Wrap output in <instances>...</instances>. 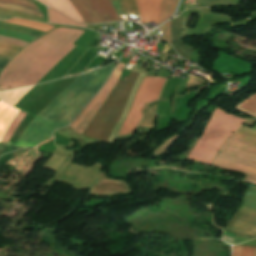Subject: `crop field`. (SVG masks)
<instances>
[{
	"label": "crop field",
	"instance_id": "obj_35",
	"mask_svg": "<svg viewBox=\"0 0 256 256\" xmlns=\"http://www.w3.org/2000/svg\"><path fill=\"white\" fill-rule=\"evenodd\" d=\"M198 139H199V138H196V139L188 146V148H189V149L192 148V147L195 145V143L198 141Z\"/></svg>",
	"mask_w": 256,
	"mask_h": 256
},
{
	"label": "crop field",
	"instance_id": "obj_27",
	"mask_svg": "<svg viewBox=\"0 0 256 256\" xmlns=\"http://www.w3.org/2000/svg\"><path fill=\"white\" fill-rule=\"evenodd\" d=\"M0 35H5V36L13 37V38H18V39H22V40H25V41H28V42H32L33 40L36 39V37H33V36L13 32V31L5 30V29H0Z\"/></svg>",
	"mask_w": 256,
	"mask_h": 256
},
{
	"label": "crop field",
	"instance_id": "obj_1",
	"mask_svg": "<svg viewBox=\"0 0 256 256\" xmlns=\"http://www.w3.org/2000/svg\"><path fill=\"white\" fill-rule=\"evenodd\" d=\"M81 30L56 28L27 46L0 75V88L11 89L35 84L63 56L75 47L72 43Z\"/></svg>",
	"mask_w": 256,
	"mask_h": 256
},
{
	"label": "crop field",
	"instance_id": "obj_6",
	"mask_svg": "<svg viewBox=\"0 0 256 256\" xmlns=\"http://www.w3.org/2000/svg\"><path fill=\"white\" fill-rule=\"evenodd\" d=\"M165 80L160 77H145L142 85L140 84L141 86L136 94L132 108L117 136L134 132L142 115V107L158 99L159 92Z\"/></svg>",
	"mask_w": 256,
	"mask_h": 256
},
{
	"label": "crop field",
	"instance_id": "obj_34",
	"mask_svg": "<svg viewBox=\"0 0 256 256\" xmlns=\"http://www.w3.org/2000/svg\"><path fill=\"white\" fill-rule=\"evenodd\" d=\"M55 145H51L49 144L46 149L44 150L45 153H49V154H52L53 150L55 149Z\"/></svg>",
	"mask_w": 256,
	"mask_h": 256
},
{
	"label": "crop field",
	"instance_id": "obj_25",
	"mask_svg": "<svg viewBox=\"0 0 256 256\" xmlns=\"http://www.w3.org/2000/svg\"><path fill=\"white\" fill-rule=\"evenodd\" d=\"M0 14H5V15H10V16H15V17H20V18H25V19H29V20H34V21L46 23L44 18L29 15V14L9 11V10H5V9H0Z\"/></svg>",
	"mask_w": 256,
	"mask_h": 256
},
{
	"label": "crop field",
	"instance_id": "obj_21",
	"mask_svg": "<svg viewBox=\"0 0 256 256\" xmlns=\"http://www.w3.org/2000/svg\"><path fill=\"white\" fill-rule=\"evenodd\" d=\"M25 113L23 112H19L17 114V116L14 118V120L12 121L10 127L8 128V130L6 131L5 135L3 136L1 142L7 143L9 138L11 137V135L13 134V132L15 131L17 125L21 122V120L25 117Z\"/></svg>",
	"mask_w": 256,
	"mask_h": 256
},
{
	"label": "crop field",
	"instance_id": "obj_19",
	"mask_svg": "<svg viewBox=\"0 0 256 256\" xmlns=\"http://www.w3.org/2000/svg\"><path fill=\"white\" fill-rule=\"evenodd\" d=\"M178 0H163L160 23L174 12Z\"/></svg>",
	"mask_w": 256,
	"mask_h": 256
},
{
	"label": "crop field",
	"instance_id": "obj_3",
	"mask_svg": "<svg viewBox=\"0 0 256 256\" xmlns=\"http://www.w3.org/2000/svg\"><path fill=\"white\" fill-rule=\"evenodd\" d=\"M244 121L245 119L227 114L216 108L205 128L204 134L192 148L189 156L211 162L222 142L233 131L239 129Z\"/></svg>",
	"mask_w": 256,
	"mask_h": 256
},
{
	"label": "crop field",
	"instance_id": "obj_22",
	"mask_svg": "<svg viewBox=\"0 0 256 256\" xmlns=\"http://www.w3.org/2000/svg\"><path fill=\"white\" fill-rule=\"evenodd\" d=\"M0 8L17 10V11H21V12H25V13H29V14H33V15H37V16H42L43 17V15L41 14L40 10H36V9L24 7V6H18V5H14V4H8V3H1L0 2Z\"/></svg>",
	"mask_w": 256,
	"mask_h": 256
},
{
	"label": "crop field",
	"instance_id": "obj_33",
	"mask_svg": "<svg viewBox=\"0 0 256 256\" xmlns=\"http://www.w3.org/2000/svg\"><path fill=\"white\" fill-rule=\"evenodd\" d=\"M9 58L1 57L0 56V68L3 69L4 66L9 62Z\"/></svg>",
	"mask_w": 256,
	"mask_h": 256
},
{
	"label": "crop field",
	"instance_id": "obj_38",
	"mask_svg": "<svg viewBox=\"0 0 256 256\" xmlns=\"http://www.w3.org/2000/svg\"><path fill=\"white\" fill-rule=\"evenodd\" d=\"M0 144H3V143H0ZM3 145H6V144H3Z\"/></svg>",
	"mask_w": 256,
	"mask_h": 256
},
{
	"label": "crop field",
	"instance_id": "obj_12",
	"mask_svg": "<svg viewBox=\"0 0 256 256\" xmlns=\"http://www.w3.org/2000/svg\"><path fill=\"white\" fill-rule=\"evenodd\" d=\"M142 23L155 21L159 24L161 0H135Z\"/></svg>",
	"mask_w": 256,
	"mask_h": 256
},
{
	"label": "crop field",
	"instance_id": "obj_16",
	"mask_svg": "<svg viewBox=\"0 0 256 256\" xmlns=\"http://www.w3.org/2000/svg\"><path fill=\"white\" fill-rule=\"evenodd\" d=\"M246 100L256 103V93L246 98ZM246 100L233 107L256 117V105Z\"/></svg>",
	"mask_w": 256,
	"mask_h": 256
},
{
	"label": "crop field",
	"instance_id": "obj_24",
	"mask_svg": "<svg viewBox=\"0 0 256 256\" xmlns=\"http://www.w3.org/2000/svg\"><path fill=\"white\" fill-rule=\"evenodd\" d=\"M20 49H21V47L0 42V55L1 56H6V57L12 58Z\"/></svg>",
	"mask_w": 256,
	"mask_h": 256
},
{
	"label": "crop field",
	"instance_id": "obj_2",
	"mask_svg": "<svg viewBox=\"0 0 256 256\" xmlns=\"http://www.w3.org/2000/svg\"><path fill=\"white\" fill-rule=\"evenodd\" d=\"M211 166L248 174L256 180V125H244L223 144Z\"/></svg>",
	"mask_w": 256,
	"mask_h": 256
},
{
	"label": "crop field",
	"instance_id": "obj_10",
	"mask_svg": "<svg viewBox=\"0 0 256 256\" xmlns=\"http://www.w3.org/2000/svg\"><path fill=\"white\" fill-rule=\"evenodd\" d=\"M99 42L100 39L95 37L84 49L76 46L71 52L62 58L37 84L62 78L69 70V68L75 64L77 59L81 57L87 48L91 46H97Z\"/></svg>",
	"mask_w": 256,
	"mask_h": 256
},
{
	"label": "crop field",
	"instance_id": "obj_36",
	"mask_svg": "<svg viewBox=\"0 0 256 256\" xmlns=\"http://www.w3.org/2000/svg\"><path fill=\"white\" fill-rule=\"evenodd\" d=\"M224 235H227V236H230V237H235V234H232V233H229V232H226V231H224V233H223Z\"/></svg>",
	"mask_w": 256,
	"mask_h": 256
},
{
	"label": "crop field",
	"instance_id": "obj_15",
	"mask_svg": "<svg viewBox=\"0 0 256 256\" xmlns=\"http://www.w3.org/2000/svg\"><path fill=\"white\" fill-rule=\"evenodd\" d=\"M96 48L89 49L80 59L79 61L74 65V67L69 71L67 75L75 74L79 71V69L85 64V62L89 59V57L92 55V53L95 51ZM98 49L93 53V55L90 57V59L86 62V64L80 69L79 72L83 71L84 68L87 66V64L91 61V59L94 57V55L97 53ZM66 75V76H67Z\"/></svg>",
	"mask_w": 256,
	"mask_h": 256
},
{
	"label": "crop field",
	"instance_id": "obj_4",
	"mask_svg": "<svg viewBox=\"0 0 256 256\" xmlns=\"http://www.w3.org/2000/svg\"><path fill=\"white\" fill-rule=\"evenodd\" d=\"M139 73L132 72L127 83L119 82L82 138L86 145L105 141Z\"/></svg>",
	"mask_w": 256,
	"mask_h": 256
},
{
	"label": "crop field",
	"instance_id": "obj_17",
	"mask_svg": "<svg viewBox=\"0 0 256 256\" xmlns=\"http://www.w3.org/2000/svg\"><path fill=\"white\" fill-rule=\"evenodd\" d=\"M5 22L35 28V29H38V30H41V31H44V32L54 28V26L44 25V24H40V23H36V22H31V21L19 19V18H13V19H10V20H5Z\"/></svg>",
	"mask_w": 256,
	"mask_h": 256
},
{
	"label": "crop field",
	"instance_id": "obj_31",
	"mask_svg": "<svg viewBox=\"0 0 256 256\" xmlns=\"http://www.w3.org/2000/svg\"><path fill=\"white\" fill-rule=\"evenodd\" d=\"M0 41L15 44V45H18V46H21V47H23L27 44L26 42H24L22 40L13 39V38L5 37V36H0Z\"/></svg>",
	"mask_w": 256,
	"mask_h": 256
},
{
	"label": "crop field",
	"instance_id": "obj_8",
	"mask_svg": "<svg viewBox=\"0 0 256 256\" xmlns=\"http://www.w3.org/2000/svg\"><path fill=\"white\" fill-rule=\"evenodd\" d=\"M125 64L119 62L117 67L114 69L108 81L105 83L100 92L95 96V98L88 104V106L81 112V114L69 125L73 130H75L80 136L86 130L91 120L100 109L105 99L109 95L110 91L117 83Z\"/></svg>",
	"mask_w": 256,
	"mask_h": 256
},
{
	"label": "crop field",
	"instance_id": "obj_30",
	"mask_svg": "<svg viewBox=\"0 0 256 256\" xmlns=\"http://www.w3.org/2000/svg\"><path fill=\"white\" fill-rule=\"evenodd\" d=\"M169 27H170V21H168L166 24L160 27V31H161L162 39L171 44L170 36H169Z\"/></svg>",
	"mask_w": 256,
	"mask_h": 256
},
{
	"label": "crop field",
	"instance_id": "obj_11",
	"mask_svg": "<svg viewBox=\"0 0 256 256\" xmlns=\"http://www.w3.org/2000/svg\"><path fill=\"white\" fill-rule=\"evenodd\" d=\"M183 19H184V17L177 18L171 22L172 42H173V46L176 49V51L182 57L190 60L194 47L182 42Z\"/></svg>",
	"mask_w": 256,
	"mask_h": 256
},
{
	"label": "crop field",
	"instance_id": "obj_29",
	"mask_svg": "<svg viewBox=\"0 0 256 256\" xmlns=\"http://www.w3.org/2000/svg\"><path fill=\"white\" fill-rule=\"evenodd\" d=\"M80 3L83 5V7L86 9V11L88 12V14L91 16L93 23H100L101 20L99 19V17L97 16V14L94 12V10L91 8V6L88 4V2L86 0H79Z\"/></svg>",
	"mask_w": 256,
	"mask_h": 256
},
{
	"label": "crop field",
	"instance_id": "obj_32",
	"mask_svg": "<svg viewBox=\"0 0 256 256\" xmlns=\"http://www.w3.org/2000/svg\"><path fill=\"white\" fill-rule=\"evenodd\" d=\"M0 1L17 3V4H21L24 6H29V7L38 9V7L34 3H32L31 1H28V0H0Z\"/></svg>",
	"mask_w": 256,
	"mask_h": 256
},
{
	"label": "crop field",
	"instance_id": "obj_26",
	"mask_svg": "<svg viewBox=\"0 0 256 256\" xmlns=\"http://www.w3.org/2000/svg\"><path fill=\"white\" fill-rule=\"evenodd\" d=\"M241 248H242L241 245H236V246H234L232 256H240V254H241ZM254 249H255V247H252V246H244V245H243L241 256H253V255H254ZM254 256H256V249H255V255H254Z\"/></svg>",
	"mask_w": 256,
	"mask_h": 256
},
{
	"label": "crop field",
	"instance_id": "obj_23",
	"mask_svg": "<svg viewBox=\"0 0 256 256\" xmlns=\"http://www.w3.org/2000/svg\"><path fill=\"white\" fill-rule=\"evenodd\" d=\"M118 2L126 17H128L129 13L138 14L134 0H118Z\"/></svg>",
	"mask_w": 256,
	"mask_h": 256
},
{
	"label": "crop field",
	"instance_id": "obj_37",
	"mask_svg": "<svg viewBox=\"0 0 256 256\" xmlns=\"http://www.w3.org/2000/svg\"><path fill=\"white\" fill-rule=\"evenodd\" d=\"M8 18H10V17H6V16H1L0 15V20H4V19H8Z\"/></svg>",
	"mask_w": 256,
	"mask_h": 256
},
{
	"label": "crop field",
	"instance_id": "obj_5",
	"mask_svg": "<svg viewBox=\"0 0 256 256\" xmlns=\"http://www.w3.org/2000/svg\"><path fill=\"white\" fill-rule=\"evenodd\" d=\"M76 77L67 78L63 80H56L46 84L34 86L27 92L14 107L27 113L26 117L17 127L12 135L9 143L15 145L21 133L31 120L52 100H54L63 90H65ZM7 146H12L7 144Z\"/></svg>",
	"mask_w": 256,
	"mask_h": 256
},
{
	"label": "crop field",
	"instance_id": "obj_28",
	"mask_svg": "<svg viewBox=\"0 0 256 256\" xmlns=\"http://www.w3.org/2000/svg\"><path fill=\"white\" fill-rule=\"evenodd\" d=\"M74 7L77 9V11L80 13L82 16L83 20L85 23L93 24L90 16L87 14V12L84 10L82 5L79 3L78 0H70Z\"/></svg>",
	"mask_w": 256,
	"mask_h": 256
},
{
	"label": "crop field",
	"instance_id": "obj_14",
	"mask_svg": "<svg viewBox=\"0 0 256 256\" xmlns=\"http://www.w3.org/2000/svg\"><path fill=\"white\" fill-rule=\"evenodd\" d=\"M39 1L79 22H83L80 15L74 9L73 5L69 0H39Z\"/></svg>",
	"mask_w": 256,
	"mask_h": 256
},
{
	"label": "crop field",
	"instance_id": "obj_13",
	"mask_svg": "<svg viewBox=\"0 0 256 256\" xmlns=\"http://www.w3.org/2000/svg\"><path fill=\"white\" fill-rule=\"evenodd\" d=\"M102 22L120 20L109 0H88Z\"/></svg>",
	"mask_w": 256,
	"mask_h": 256
},
{
	"label": "crop field",
	"instance_id": "obj_9",
	"mask_svg": "<svg viewBox=\"0 0 256 256\" xmlns=\"http://www.w3.org/2000/svg\"><path fill=\"white\" fill-rule=\"evenodd\" d=\"M32 87L0 92V140L12 119L19 112L12 106Z\"/></svg>",
	"mask_w": 256,
	"mask_h": 256
},
{
	"label": "crop field",
	"instance_id": "obj_18",
	"mask_svg": "<svg viewBox=\"0 0 256 256\" xmlns=\"http://www.w3.org/2000/svg\"><path fill=\"white\" fill-rule=\"evenodd\" d=\"M48 16L51 23H57V24H67V25H76V26H83L77 22H74L56 12L48 8Z\"/></svg>",
	"mask_w": 256,
	"mask_h": 256
},
{
	"label": "crop field",
	"instance_id": "obj_7",
	"mask_svg": "<svg viewBox=\"0 0 256 256\" xmlns=\"http://www.w3.org/2000/svg\"><path fill=\"white\" fill-rule=\"evenodd\" d=\"M227 231L247 237H256V185L248 187L244 202L229 221Z\"/></svg>",
	"mask_w": 256,
	"mask_h": 256
},
{
	"label": "crop field",
	"instance_id": "obj_20",
	"mask_svg": "<svg viewBox=\"0 0 256 256\" xmlns=\"http://www.w3.org/2000/svg\"><path fill=\"white\" fill-rule=\"evenodd\" d=\"M0 28L14 30V31L34 35V36H37V37L44 33V32H40V31H37V30H33V29H29V28H25V27L13 25V24H8V23H4V22H0Z\"/></svg>",
	"mask_w": 256,
	"mask_h": 256
}]
</instances>
